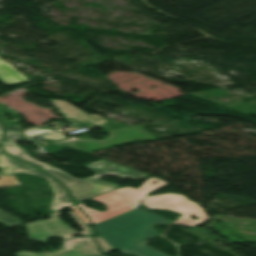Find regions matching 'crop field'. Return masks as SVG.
Instances as JSON below:
<instances>
[{
	"instance_id": "obj_3",
	"label": "crop field",
	"mask_w": 256,
	"mask_h": 256,
	"mask_svg": "<svg viewBox=\"0 0 256 256\" xmlns=\"http://www.w3.org/2000/svg\"><path fill=\"white\" fill-rule=\"evenodd\" d=\"M1 146L6 153L20 160L36 165L59 179L65 186L68 187L70 194L76 203L120 187L114 183L97 181L98 178L103 175H116L136 179H143L148 176L138 170L131 169L126 166L114 164L105 160H99L85 166L92 169L96 173L94 176L85 179H77L52 166L29 157L26 155V150L17 146L15 143H2Z\"/></svg>"
},
{
	"instance_id": "obj_2",
	"label": "crop field",
	"mask_w": 256,
	"mask_h": 256,
	"mask_svg": "<svg viewBox=\"0 0 256 256\" xmlns=\"http://www.w3.org/2000/svg\"><path fill=\"white\" fill-rule=\"evenodd\" d=\"M170 220L147 210L133 209L94 225L97 233L117 251L134 256H167L146 245L147 239L158 236L154 223Z\"/></svg>"
},
{
	"instance_id": "obj_4",
	"label": "crop field",
	"mask_w": 256,
	"mask_h": 256,
	"mask_svg": "<svg viewBox=\"0 0 256 256\" xmlns=\"http://www.w3.org/2000/svg\"><path fill=\"white\" fill-rule=\"evenodd\" d=\"M69 213L75 218V222L84 229L81 233H77L74 229L60 220L57 217L60 213L56 211L49 214L51 218L48 220L24 224L27 229L29 239L45 243L51 236H59L64 239L77 234H93L90 227L77 218L72 211ZM95 239L100 244L103 253L115 250L100 236H96ZM99 254L102 253L98 252L97 246L92 237L86 236L70 240L64 239L63 248L51 253L20 251L15 253L13 256H93Z\"/></svg>"
},
{
	"instance_id": "obj_12",
	"label": "crop field",
	"mask_w": 256,
	"mask_h": 256,
	"mask_svg": "<svg viewBox=\"0 0 256 256\" xmlns=\"http://www.w3.org/2000/svg\"><path fill=\"white\" fill-rule=\"evenodd\" d=\"M104 256H107V255H104Z\"/></svg>"
},
{
	"instance_id": "obj_7",
	"label": "crop field",
	"mask_w": 256,
	"mask_h": 256,
	"mask_svg": "<svg viewBox=\"0 0 256 256\" xmlns=\"http://www.w3.org/2000/svg\"><path fill=\"white\" fill-rule=\"evenodd\" d=\"M0 79L5 83L28 81L21 74L15 71L10 65L0 60Z\"/></svg>"
},
{
	"instance_id": "obj_5",
	"label": "crop field",
	"mask_w": 256,
	"mask_h": 256,
	"mask_svg": "<svg viewBox=\"0 0 256 256\" xmlns=\"http://www.w3.org/2000/svg\"><path fill=\"white\" fill-rule=\"evenodd\" d=\"M53 106H55V105H53ZM55 107H58V106H55ZM58 108H59V111L64 113V117H66V118L91 122L95 125H98V124L106 121L105 119H102L101 117L92 118L89 114H87L75 107H73V108L58 107ZM99 127L103 128V131L118 128V127H121L122 129L109 131L108 132V134H110L109 137L102 141L67 138V139H63V140L52 141L49 143L63 145L66 147L70 146L73 149H78L84 153H88V152H93V151H98V150H103V149L119 147V146H122L120 144L122 142H132V141L138 140V139H134V140L126 141L117 135L125 130H128V131L142 137V138H139L141 140L154 141L157 139V137L148 134L140 126H126V125H122V124L108 122ZM111 136H112V138H110ZM105 140H108V141L106 142ZM114 141H116V142L114 143ZM71 143H73V144H71ZM102 146H105V148H103Z\"/></svg>"
},
{
	"instance_id": "obj_9",
	"label": "crop field",
	"mask_w": 256,
	"mask_h": 256,
	"mask_svg": "<svg viewBox=\"0 0 256 256\" xmlns=\"http://www.w3.org/2000/svg\"><path fill=\"white\" fill-rule=\"evenodd\" d=\"M21 220L7 214L4 213L0 210V223L6 224L8 226L14 225V224H18L20 223Z\"/></svg>"
},
{
	"instance_id": "obj_1",
	"label": "crop field",
	"mask_w": 256,
	"mask_h": 256,
	"mask_svg": "<svg viewBox=\"0 0 256 256\" xmlns=\"http://www.w3.org/2000/svg\"><path fill=\"white\" fill-rule=\"evenodd\" d=\"M154 180L158 182L152 184ZM165 184H167V182L155 177H151L137 189L131 187L117 188L90 198L104 203L107 209V211L104 212L87 208L82 202L78 203V205L88 216L91 217L94 224L131 210L135 208L140 201L146 208L171 209L180 212L182 215L177 221H173L172 223L181 225H196L209 218L205 215L203 208L180 194L165 193L155 196H146L149 192ZM190 215H194L199 219L192 220L189 218Z\"/></svg>"
},
{
	"instance_id": "obj_8",
	"label": "crop field",
	"mask_w": 256,
	"mask_h": 256,
	"mask_svg": "<svg viewBox=\"0 0 256 256\" xmlns=\"http://www.w3.org/2000/svg\"><path fill=\"white\" fill-rule=\"evenodd\" d=\"M16 139H22L21 127L19 123L7 128L3 141L16 140Z\"/></svg>"
},
{
	"instance_id": "obj_11",
	"label": "crop field",
	"mask_w": 256,
	"mask_h": 256,
	"mask_svg": "<svg viewBox=\"0 0 256 256\" xmlns=\"http://www.w3.org/2000/svg\"><path fill=\"white\" fill-rule=\"evenodd\" d=\"M2 133H3V126L0 124V140H1Z\"/></svg>"
},
{
	"instance_id": "obj_6",
	"label": "crop field",
	"mask_w": 256,
	"mask_h": 256,
	"mask_svg": "<svg viewBox=\"0 0 256 256\" xmlns=\"http://www.w3.org/2000/svg\"><path fill=\"white\" fill-rule=\"evenodd\" d=\"M0 174H8L12 175L16 172H23L29 174L39 175L45 179H47V183L51 188L54 196L49 202L50 212L59 210L66 206L72 205V201L69 198L65 188L56 180L52 179L50 176L46 175L42 171L37 168L26 164L24 162L15 160L6 154L0 151Z\"/></svg>"
},
{
	"instance_id": "obj_13",
	"label": "crop field",
	"mask_w": 256,
	"mask_h": 256,
	"mask_svg": "<svg viewBox=\"0 0 256 256\" xmlns=\"http://www.w3.org/2000/svg\"><path fill=\"white\" fill-rule=\"evenodd\" d=\"M99 256H101V255H99Z\"/></svg>"
},
{
	"instance_id": "obj_10",
	"label": "crop field",
	"mask_w": 256,
	"mask_h": 256,
	"mask_svg": "<svg viewBox=\"0 0 256 256\" xmlns=\"http://www.w3.org/2000/svg\"><path fill=\"white\" fill-rule=\"evenodd\" d=\"M44 127H45L44 129L32 128V129L26 130L25 135L28 137H34V136L53 132V131H50L51 129L47 125H45Z\"/></svg>"
}]
</instances>
